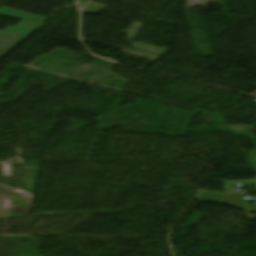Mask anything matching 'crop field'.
<instances>
[{"instance_id": "3", "label": "crop field", "mask_w": 256, "mask_h": 256, "mask_svg": "<svg viewBox=\"0 0 256 256\" xmlns=\"http://www.w3.org/2000/svg\"><path fill=\"white\" fill-rule=\"evenodd\" d=\"M198 201L224 204V195L201 193Z\"/></svg>"}, {"instance_id": "1", "label": "crop field", "mask_w": 256, "mask_h": 256, "mask_svg": "<svg viewBox=\"0 0 256 256\" xmlns=\"http://www.w3.org/2000/svg\"><path fill=\"white\" fill-rule=\"evenodd\" d=\"M0 15L23 20L15 27H9L3 33H0V59L6 56L12 49H14L19 43L24 40L20 37L29 34L46 19L45 17L5 7L0 9Z\"/></svg>"}, {"instance_id": "2", "label": "crop field", "mask_w": 256, "mask_h": 256, "mask_svg": "<svg viewBox=\"0 0 256 256\" xmlns=\"http://www.w3.org/2000/svg\"><path fill=\"white\" fill-rule=\"evenodd\" d=\"M32 196L0 186V218L27 217Z\"/></svg>"}, {"instance_id": "4", "label": "crop field", "mask_w": 256, "mask_h": 256, "mask_svg": "<svg viewBox=\"0 0 256 256\" xmlns=\"http://www.w3.org/2000/svg\"><path fill=\"white\" fill-rule=\"evenodd\" d=\"M239 194L234 195H226L225 205L229 207H233L235 209H244L246 208V204H238Z\"/></svg>"}]
</instances>
